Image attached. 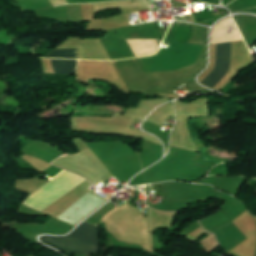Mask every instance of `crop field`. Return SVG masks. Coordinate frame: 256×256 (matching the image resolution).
Here are the masks:
<instances>
[{
	"label": "crop field",
	"mask_w": 256,
	"mask_h": 256,
	"mask_svg": "<svg viewBox=\"0 0 256 256\" xmlns=\"http://www.w3.org/2000/svg\"><path fill=\"white\" fill-rule=\"evenodd\" d=\"M66 237H41V240L53 247L73 253L90 255L99 252L98 227L82 222Z\"/></svg>",
	"instance_id": "obj_1"
},
{
	"label": "crop field",
	"mask_w": 256,
	"mask_h": 256,
	"mask_svg": "<svg viewBox=\"0 0 256 256\" xmlns=\"http://www.w3.org/2000/svg\"><path fill=\"white\" fill-rule=\"evenodd\" d=\"M230 42L216 44L215 66L210 73L200 82L208 87H213L226 74L229 67Z\"/></svg>",
	"instance_id": "obj_2"
},
{
	"label": "crop field",
	"mask_w": 256,
	"mask_h": 256,
	"mask_svg": "<svg viewBox=\"0 0 256 256\" xmlns=\"http://www.w3.org/2000/svg\"><path fill=\"white\" fill-rule=\"evenodd\" d=\"M77 60H52L55 73L75 74Z\"/></svg>",
	"instance_id": "obj_3"
},
{
	"label": "crop field",
	"mask_w": 256,
	"mask_h": 256,
	"mask_svg": "<svg viewBox=\"0 0 256 256\" xmlns=\"http://www.w3.org/2000/svg\"><path fill=\"white\" fill-rule=\"evenodd\" d=\"M43 58L77 59V54H76V49L54 50L49 52Z\"/></svg>",
	"instance_id": "obj_4"
},
{
	"label": "crop field",
	"mask_w": 256,
	"mask_h": 256,
	"mask_svg": "<svg viewBox=\"0 0 256 256\" xmlns=\"http://www.w3.org/2000/svg\"><path fill=\"white\" fill-rule=\"evenodd\" d=\"M253 218H254V220H255V222H256V217L253 216Z\"/></svg>",
	"instance_id": "obj_5"
}]
</instances>
